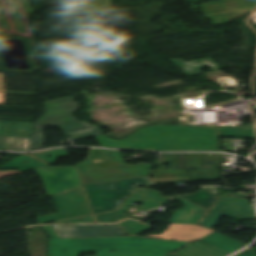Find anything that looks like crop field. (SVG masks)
<instances>
[{"label": "crop field", "mask_w": 256, "mask_h": 256, "mask_svg": "<svg viewBox=\"0 0 256 256\" xmlns=\"http://www.w3.org/2000/svg\"><path fill=\"white\" fill-rule=\"evenodd\" d=\"M102 147L147 151L218 150V128L211 126H148L126 140L113 141L103 135Z\"/></svg>", "instance_id": "2"}, {"label": "crop field", "mask_w": 256, "mask_h": 256, "mask_svg": "<svg viewBox=\"0 0 256 256\" xmlns=\"http://www.w3.org/2000/svg\"><path fill=\"white\" fill-rule=\"evenodd\" d=\"M210 232L211 231L200 226L170 224L160 235H152L148 237L194 241Z\"/></svg>", "instance_id": "9"}, {"label": "crop field", "mask_w": 256, "mask_h": 256, "mask_svg": "<svg viewBox=\"0 0 256 256\" xmlns=\"http://www.w3.org/2000/svg\"><path fill=\"white\" fill-rule=\"evenodd\" d=\"M44 104L46 113L35 122L30 150L42 148L44 140L42 127L61 126L68 137L72 136L69 137L71 141L102 134L98 126L85 122L78 123L75 120L72 113L77 110L78 106L73 103L72 96L45 101ZM76 137L78 139H75Z\"/></svg>", "instance_id": "3"}, {"label": "crop field", "mask_w": 256, "mask_h": 256, "mask_svg": "<svg viewBox=\"0 0 256 256\" xmlns=\"http://www.w3.org/2000/svg\"><path fill=\"white\" fill-rule=\"evenodd\" d=\"M132 185H136L133 187ZM139 185L150 187L156 186L149 177L135 178L125 181L89 185L87 191L95 212L116 210L121 203L132 193Z\"/></svg>", "instance_id": "5"}, {"label": "crop field", "mask_w": 256, "mask_h": 256, "mask_svg": "<svg viewBox=\"0 0 256 256\" xmlns=\"http://www.w3.org/2000/svg\"><path fill=\"white\" fill-rule=\"evenodd\" d=\"M251 20H254L253 23L256 24V12L253 14V16L251 17Z\"/></svg>", "instance_id": "20"}, {"label": "crop field", "mask_w": 256, "mask_h": 256, "mask_svg": "<svg viewBox=\"0 0 256 256\" xmlns=\"http://www.w3.org/2000/svg\"><path fill=\"white\" fill-rule=\"evenodd\" d=\"M4 144V137H0V150H2Z\"/></svg>", "instance_id": "18"}, {"label": "crop field", "mask_w": 256, "mask_h": 256, "mask_svg": "<svg viewBox=\"0 0 256 256\" xmlns=\"http://www.w3.org/2000/svg\"><path fill=\"white\" fill-rule=\"evenodd\" d=\"M34 171L42 177L49 196H54L82 185L75 166L57 168L50 166Z\"/></svg>", "instance_id": "7"}, {"label": "crop field", "mask_w": 256, "mask_h": 256, "mask_svg": "<svg viewBox=\"0 0 256 256\" xmlns=\"http://www.w3.org/2000/svg\"><path fill=\"white\" fill-rule=\"evenodd\" d=\"M199 240L228 254L246 245L216 232H212Z\"/></svg>", "instance_id": "10"}, {"label": "crop field", "mask_w": 256, "mask_h": 256, "mask_svg": "<svg viewBox=\"0 0 256 256\" xmlns=\"http://www.w3.org/2000/svg\"><path fill=\"white\" fill-rule=\"evenodd\" d=\"M50 235L48 256H78L95 252L96 256H177L173 252L189 243L142 237H89L60 239L52 226H43Z\"/></svg>", "instance_id": "1"}, {"label": "crop field", "mask_w": 256, "mask_h": 256, "mask_svg": "<svg viewBox=\"0 0 256 256\" xmlns=\"http://www.w3.org/2000/svg\"><path fill=\"white\" fill-rule=\"evenodd\" d=\"M186 200L196 203L209 210L212 203L216 200V196L200 189L197 193L190 195H178Z\"/></svg>", "instance_id": "14"}, {"label": "crop field", "mask_w": 256, "mask_h": 256, "mask_svg": "<svg viewBox=\"0 0 256 256\" xmlns=\"http://www.w3.org/2000/svg\"><path fill=\"white\" fill-rule=\"evenodd\" d=\"M32 123L0 120V136L30 138ZM19 131H23L20 133Z\"/></svg>", "instance_id": "12"}, {"label": "crop field", "mask_w": 256, "mask_h": 256, "mask_svg": "<svg viewBox=\"0 0 256 256\" xmlns=\"http://www.w3.org/2000/svg\"><path fill=\"white\" fill-rule=\"evenodd\" d=\"M0 92H4V75L0 73Z\"/></svg>", "instance_id": "16"}, {"label": "crop field", "mask_w": 256, "mask_h": 256, "mask_svg": "<svg viewBox=\"0 0 256 256\" xmlns=\"http://www.w3.org/2000/svg\"><path fill=\"white\" fill-rule=\"evenodd\" d=\"M170 60L173 61L188 76L201 74L202 72L200 70L206 66L210 67L213 71L222 70V68L211 57L193 60L189 62H186L182 59Z\"/></svg>", "instance_id": "11"}, {"label": "crop field", "mask_w": 256, "mask_h": 256, "mask_svg": "<svg viewBox=\"0 0 256 256\" xmlns=\"http://www.w3.org/2000/svg\"><path fill=\"white\" fill-rule=\"evenodd\" d=\"M0 104H4V94H0Z\"/></svg>", "instance_id": "19"}, {"label": "crop field", "mask_w": 256, "mask_h": 256, "mask_svg": "<svg viewBox=\"0 0 256 256\" xmlns=\"http://www.w3.org/2000/svg\"><path fill=\"white\" fill-rule=\"evenodd\" d=\"M61 238L89 236H124L116 225H67L54 227Z\"/></svg>", "instance_id": "8"}, {"label": "crop field", "mask_w": 256, "mask_h": 256, "mask_svg": "<svg viewBox=\"0 0 256 256\" xmlns=\"http://www.w3.org/2000/svg\"><path fill=\"white\" fill-rule=\"evenodd\" d=\"M18 141V144L16 142ZM30 139L5 137L3 150L28 151Z\"/></svg>", "instance_id": "15"}, {"label": "crop field", "mask_w": 256, "mask_h": 256, "mask_svg": "<svg viewBox=\"0 0 256 256\" xmlns=\"http://www.w3.org/2000/svg\"><path fill=\"white\" fill-rule=\"evenodd\" d=\"M84 184L147 176L152 165L125 164L119 151L91 149L89 157L76 165Z\"/></svg>", "instance_id": "4"}, {"label": "crop field", "mask_w": 256, "mask_h": 256, "mask_svg": "<svg viewBox=\"0 0 256 256\" xmlns=\"http://www.w3.org/2000/svg\"><path fill=\"white\" fill-rule=\"evenodd\" d=\"M203 189L208 190V191L213 192V193L216 194V191H215L214 187H203Z\"/></svg>", "instance_id": "17"}, {"label": "crop field", "mask_w": 256, "mask_h": 256, "mask_svg": "<svg viewBox=\"0 0 256 256\" xmlns=\"http://www.w3.org/2000/svg\"><path fill=\"white\" fill-rule=\"evenodd\" d=\"M179 256H226L228 254L216 250L200 241L192 243L175 252Z\"/></svg>", "instance_id": "13"}, {"label": "crop field", "mask_w": 256, "mask_h": 256, "mask_svg": "<svg viewBox=\"0 0 256 256\" xmlns=\"http://www.w3.org/2000/svg\"><path fill=\"white\" fill-rule=\"evenodd\" d=\"M256 7V0H222L219 2L199 5L206 19H211L214 26L231 23V19L248 15H231L249 13Z\"/></svg>", "instance_id": "6"}]
</instances>
